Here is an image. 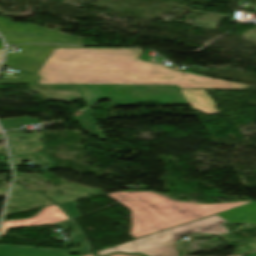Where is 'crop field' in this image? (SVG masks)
I'll use <instances>...</instances> for the list:
<instances>
[{
    "mask_svg": "<svg viewBox=\"0 0 256 256\" xmlns=\"http://www.w3.org/2000/svg\"><path fill=\"white\" fill-rule=\"evenodd\" d=\"M143 50L131 48H54L37 84L177 85L178 88L250 89L206 76L178 72L163 64L140 61Z\"/></svg>",
    "mask_w": 256,
    "mask_h": 256,
    "instance_id": "1",
    "label": "crop field"
},
{
    "mask_svg": "<svg viewBox=\"0 0 256 256\" xmlns=\"http://www.w3.org/2000/svg\"><path fill=\"white\" fill-rule=\"evenodd\" d=\"M109 195L131 209L130 235L136 239L252 203H188L154 192H116Z\"/></svg>",
    "mask_w": 256,
    "mask_h": 256,
    "instance_id": "2",
    "label": "crop field"
},
{
    "mask_svg": "<svg viewBox=\"0 0 256 256\" xmlns=\"http://www.w3.org/2000/svg\"><path fill=\"white\" fill-rule=\"evenodd\" d=\"M89 107L101 99L115 105L157 102L163 105L187 104L177 86L77 85Z\"/></svg>",
    "mask_w": 256,
    "mask_h": 256,
    "instance_id": "3",
    "label": "crop field"
},
{
    "mask_svg": "<svg viewBox=\"0 0 256 256\" xmlns=\"http://www.w3.org/2000/svg\"><path fill=\"white\" fill-rule=\"evenodd\" d=\"M226 221L218 214L183 225L167 231L156 233L120 246L97 252V255H107L115 251L140 253L146 256H172L176 250V241L187 233L204 231L209 234H225L230 231L223 225Z\"/></svg>",
    "mask_w": 256,
    "mask_h": 256,
    "instance_id": "4",
    "label": "crop field"
},
{
    "mask_svg": "<svg viewBox=\"0 0 256 256\" xmlns=\"http://www.w3.org/2000/svg\"><path fill=\"white\" fill-rule=\"evenodd\" d=\"M26 136L28 141L24 140L22 142H18L17 140L22 136ZM9 141L13 164L14 166L22 165L23 161H30L35 166H43L52 163L50 159L38 152H41V149L44 148L41 139H43L41 133H15V134H7ZM34 144L31 148L28 147V143ZM39 142V144H37ZM31 154L38 155L42 157L39 161H37Z\"/></svg>",
    "mask_w": 256,
    "mask_h": 256,
    "instance_id": "5",
    "label": "crop field"
},
{
    "mask_svg": "<svg viewBox=\"0 0 256 256\" xmlns=\"http://www.w3.org/2000/svg\"><path fill=\"white\" fill-rule=\"evenodd\" d=\"M68 219H70L69 216L58 205H55L42 209L36 216L28 219L3 221L0 235L5 234L11 228L43 226Z\"/></svg>",
    "mask_w": 256,
    "mask_h": 256,
    "instance_id": "6",
    "label": "crop field"
},
{
    "mask_svg": "<svg viewBox=\"0 0 256 256\" xmlns=\"http://www.w3.org/2000/svg\"><path fill=\"white\" fill-rule=\"evenodd\" d=\"M30 89L46 99L70 102L83 99L75 85H29Z\"/></svg>",
    "mask_w": 256,
    "mask_h": 256,
    "instance_id": "7",
    "label": "crop field"
},
{
    "mask_svg": "<svg viewBox=\"0 0 256 256\" xmlns=\"http://www.w3.org/2000/svg\"><path fill=\"white\" fill-rule=\"evenodd\" d=\"M188 104L191 105L192 109H196L205 114H216L219 113L215 109V102L211 96L206 92L205 89H180ZM179 90V91H180Z\"/></svg>",
    "mask_w": 256,
    "mask_h": 256,
    "instance_id": "8",
    "label": "crop field"
},
{
    "mask_svg": "<svg viewBox=\"0 0 256 256\" xmlns=\"http://www.w3.org/2000/svg\"><path fill=\"white\" fill-rule=\"evenodd\" d=\"M54 226L58 227H63V228H69V227H75L74 230L77 235L71 236V239L73 240L72 242L66 244L65 246L72 245V244H77L79 242L82 243L83 248L81 249H76V250H71V251H58V250H46V249H36V248H26V247H17V246H7V245H0V247H7V248H22V249H32V250H42V251H53V252H65V253H79V254H89L92 253V250L90 248L89 243L85 239L83 233L79 229V227L71 221L63 222Z\"/></svg>",
    "mask_w": 256,
    "mask_h": 256,
    "instance_id": "9",
    "label": "crop field"
},
{
    "mask_svg": "<svg viewBox=\"0 0 256 256\" xmlns=\"http://www.w3.org/2000/svg\"><path fill=\"white\" fill-rule=\"evenodd\" d=\"M90 114H91L90 109H87L75 115V118L80 123L84 131H86L90 136L96 134L99 139L104 138Z\"/></svg>",
    "mask_w": 256,
    "mask_h": 256,
    "instance_id": "10",
    "label": "crop field"
},
{
    "mask_svg": "<svg viewBox=\"0 0 256 256\" xmlns=\"http://www.w3.org/2000/svg\"><path fill=\"white\" fill-rule=\"evenodd\" d=\"M0 256H69V254L0 248Z\"/></svg>",
    "mask_w": 256,
    "mask_h": 256,
    "instance_id": "11",
    "label": "crop field"
},
{
    "mask_svg": "<svg viewBox=\"0 0 256 256\" xmlns=\"http://www.w3.org/2000/svg\"><path fill=\"white\" fill-rule=\"evenodd\" d=\"M38 122L39 120L31 118H13L0 120V123L4 129H17L21 128L20 125H29Z\"/></svg>",
    "mask_w": 256,
    "mask_h": 256,
    "instance_id": "12",
    "label": "crop field"
},
{
    "mask_svg": "<svg viewBox=\"0 0 256 256\" xmlns=\"http://www.w3.org/2000/svg\"><path fill=\"white\" fill-rule=\"evenodd\" d=\"M61 206L73 218H75L77 216H80V213H78V211H77V205H76V203L74 201L73 202H69V203H65V204H61Z\"/></svg>",
    "mask_w": 256,
    "mask_h": 256,
    "instance_id": "13",
    "label": "crop field"
},
{
    "mask_svg": "<svg viewBox=\"0 0 256 256\" xmlns=\"http://www.w3.org/2000/svg\"><path fill=\"white\" fill-rule=\"evenodd\" d=\"M86 256H94V254H89V255H86ZM110 256H139V255H128V254H123V253H117V254H112Z\"/></svg>",
    "mask_w": 256,
    "mask_h": 256,
    "instance_id": "14",
    "label": "crop field"
},
{
    "mask_svg": "<svg viewBox=\"0 0 256 256\" xmlns=\"http://www.w3.org/2000/svg\"><path fill=\"white\" fill-rule=\"evenodd\" d=\"M15 132H23L22 130H15V131H12V132H7V133H15Z\"/></svg>",
    "mask_w": 256,
    "mask_h": 256,
    "instance_id": "15",
    "label": "crop field"
},
{
    "mask_svg": "<svg viewBox=\"0 0 256 256\" xmlns=\"http://www.w3.org/2000/svg\"><path fill=\"white\" fill-rule=\"evenodd\" d=\"M2 56H3V51H0V62H1Z\"/></svg>",
    "mask_w": 256,
    "mask_h": 256,
    "instance_id": "16",
    "label": "crop field"
},
{
    "mask_svg": "<svg viewBox=\"0 0 256 256\" xmlns=\"http://www.w3.org/2000/svg\"><path fill=\"white\" fill-rule=\"evenodd\" d=\"M173 256H179V254H178V250H176V252L174 253V255Z\"/></svg>",
    "mask_w": 256,
    "mask_h": 256,
    "instance_id": "17",
    "label": "crop field"
},
{
    "mask_svg": "<svg viewBox=\"0 0 256 256\" xmlns=\"http://www.w3.org/2000/svg\"><path fill=\"white\" fill-rule=\"evenodd\" d=\"M0 49H3V44L1 41H0Z\"/></svg>",
    "mask_w": 256,
    "mask_h": 256,
    "instance_id": "18",
    "label": "crop field"
},
{
    "mask_svg": "<svg viewBox=\"0 0 256 256\" xmlns=\"http://www.w3.org/2000/svg\"><path fill=\"white\" fill-rule=\"evenodd\" d=\"M248 256H256V253H252V254H250V255H248Z\"/></svg>",
    "mask_w": 256,
    "mask_h": 256,
    "instance_id": "19",
    "label": "crop field"
},
{
    "mask_svg": "<svg viewBox=\"0 0 256 256\" xmlns=\"http://www.w3.org/2000/svg\"><path fill=\"white\" fill-rule=\"evenodd\" d=\"M194 233H204V232L198 231V232H194Z\"/></svg>",
    "mask_w": 256,
    "mask_h": 256,
    "instance_id": "20",
    "label": "crop field"
},
{
    "mask_svg": "<svg viewBox=\"0 0 256 256\" xmlns=\"http://www.w3.org/2000/svg\"><path fill=\"white\" fill-rule=\"evenodd\" d=\"M0 139H3L1 134H0Z\"/></svg>",
    "mask_w": 256,
    "mask_h": 256,
    "instance_id": "21",
    "label": "crop field"
},
{
    "mask_svg": "<svg viewBox=\"0 0 256 256\" xmlns=\"http://www.w3.org/2000/svg\"><path fill=\"white\" fill-rule=\"evenodd\" d=\"M1 133V132H0Z\"/></svg>",
    "mask_w": 256,
    "mask_h": 256,
    "instance_id": "22",
    "label": "crop field"
}]
</instances>
